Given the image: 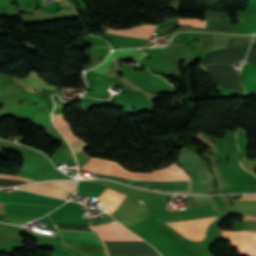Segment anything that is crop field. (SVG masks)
<instances>
[{"label":"crop field","instance_id":"crop-field-7","mask_svg":"<svg viewBox=\"0 0 256 256\" xmlns=\"http://www.w3.org/2000/svg\"><path fill=\"white\" fill-rule=\"evenodd\" d=\"M157 25H150V26H141L132 28L126 31L115 30V29H107L106 33L109 34H116V35H123V36H130V37H145L150 38L155 30Z\"/></svg>","mask_w":256,"mask_h":256},{"label":"crop field","instance_id":"crop-field-17","mask_svg":"<svg viewBox=\"0 0 256 256\" xmlns=\"http://www.w3.org/2000/svg\"><path fill=\"white\" fill-rule=\"evenodd\" d=\"M238 200H256V195H245Z\"/></svg>","mask_w":256,"mask_h":256},{"label":"crop field","instance_id":"crop-field-14","mask_svg":"<svg viewBox=\"0 0 256 256\" xmlns=\"http://www.w3.org/2000/svg\"><path fill=\"white\" fill-rule=\"evenodd\" d=\"M87 146H88V144L85 143V142L82 140L81 142H79V143H77V144H75V145H73V146H71V147H72L74 153L76 154V153L82 151V150H83L85 147H87Z\"/></svg>","mask_w":256,"mask_h":256},{"label":"crop field","instance_id":"crop-field-3","mask_svg":"<svg viewBox=\"0 0 256 256\" xmlns=\"http://www.w3.org/2000/svg\"><path fill=\"white\" fill-rule=\"evenodd\" d=\"M221 231L223 239L231 241V248H238L240 256H256V232L240 231L228 232Z\"/></svg>","mask_w":256,"mask_h":256},{"label":"crop field","instance_id":"crop-field-2","mask_svg":"<svg viewBox=\"0 0 256 256\" xmlns=\"http://www.w3.org/2000/svg\"><path fill=\"white\" fill-rule=\"evenodd\" d=\"M60 236L65 239L101 244L98 236L95 232H86V231H66L58 230ZM62 239L63 243H52V245L66 246L69 247L84 256H106V252L103 246L65 240Z\"/></svg>","mask_w":256,"mask_h":256},{"label":"crop field","instance_id":"crop-field-1","mask_svg":"<svg viewBox=\"0 0 256 256\" xmlns=\"http://www.w3.org/2000/svg\"><path fill=\"white\" fill-rule=\"evenodd\" d=\"M83 170L119 176L123 178H131L132 172H128L124 167L118 163L91 158L87 164L82 168ZM98 177H105L109 179L124 181L133 185H143L151 188L165 189V190H189V183H157L128 180L114 176L101 175ZM131 179L158 181V182H189V176L175 162L163 170L151 173H133Z\"/></svg>","mask_w":256,"mask_h":256},{"label":"crop field","instance_id":"crop-field-9","mask_svg":"<svg viewBox=\"0 0 256 256\" xmlns=\"http://www.w3.org/2000/svg\"><path fill=\"white\" fill-rule=\"evenodd\" d=\"M53 122L56 124L57 128L62 132V134L67 138L70 145L80 141L71 133L69 124L63 120V115H53Z\"/></svg>","mask_w":256,"mask_h":256},{"label":"crop field","instance_id":"crop-field-4","mask_svg":"<svg viewBox=\"0 0 256 256\" xmlns=\"http://www.w3.org/2000/svg\"><path fill=\"white\" fill-rule=\"evenodd\" d=\"M92 227L101 240H142L131 231L125 229L118 222L107 225L100 224Z\"/></svg>","mask_w":256,"mask_h":256},{"label":"crop field","instance_id":"crop-field-10","mask_svg":"<svg viewBox=\"0 0 256 256\" xmlns=\"http://www.w3.org/2000/svg\"><path fill=\"white\" fill-rule=\"evenodd\" d=\"M19 82L34 89L40 90L42 87L52 89L54 86L48 85L43 81L39 80L35 72H30L24 79H19Z\"/></svg>","mask_w":256,"mask_h":256},{"label":"crop field","instance_id":"crop-field-18","mask_svg":"<svg viewBox=\"0 0 256 256\" xmlns=\"http://www.w3.org/2000/svg\"><path fill=\"white\" fill-rule=\"evenodd\" d=\"M28 90H30V89H28ZM32 91V90H31ZM34 92V91H33Z\"/></svg>","mask_w":256,"mask_h":256},{"label":"crop field","instance_id":"crop-field-15","mask_svg":"<svg viewBox=\"0 0 256 256\" xmlns=\"http://www.w3.org/2000/svg\"><path fill=\"white\" fill-rule=\"evenodd\" d=\"M197 135H199V134H197ZM199 136H200V139L198 141H200L201 143H203L207 147L217 151L213 142H211L210 140H208L207 138H205V137H203L201 135H199Z\"/></svg>","mask_w":256,"mask_h":256},{"label":"crop field","instance_id":"crop-field-8","mask_svg":"<svg viewBox=\"0 0 256 256\" xmlns=\"http://www.w3.org/2000/svg\"><path fill=\"white\" fill-rule=\"evenodd\" d=\"M18 189H25V190L45 194V195L63 198V199H66L68 194L67 192L52 188L42 183L18 187Z\"/></svg>","mask_w":256,"mask_h":256},{"label":"crop field","instance_id":"crop-field-11","mask_svg":"<svg viewBox=\"0 0 256 256\" xmlns=\"http://www.w3.org/2000/svg\"><path fill=\"white\" fill-rule=\"evenodd\" d=\"M45 183L75 194V187H76L77 181L45 182Z\"/></svg>","mask_w":256,"mask_h":256},{"label":"crop field","instance_id":"crop-field-12","mask_svg":"<svg viewBox=\"0 0 256 256\" xmlns=\"http://www.w3.org/2000/svg\"><path fill=\"white\" fill-rule=\"evenodd\" d=\"M229 37L230 36L215 35L213 38L212 51L226 48Z\"/></svg>","mask_w":256,"mask_h":256},{"label":"crop field","instance_id":"crop-field-6","mask_svg":"<svg viewBox=\"0 0 256 256\" xmlns=\"http://www.w3.org/2000/svg\"><path fill=\"white\" fill-rule=\"evenodd\" d=\"M138 49H133V50H118V51H113L110 56L99 66L91 69V71L99 72L105 74L114 60L118 59H123V58H131V59H136L139 60L140 57L144 56V53H139Z\"/></svg>","mask_w":256,"mask_h":256},{"label":"crop field","instance_id":"crop-field-19","mask_svg":"<svg viewBox=\"0 0 256 256\" xmlns=\"http://www.w3.org/2000/svg\"><path fill=\"white\" fill-rule=\"evenodd\" d=\"M168 210V209H167Z\"/></svg>","mask_w":256,"mask_h":256},{"label":"crop field","instance_id":"crop-field-5","mask_svg":"<svg viewBox=\"0 0 256 256\" xmlns=\"http://www.w3.org/2000/svg\"><path fill=\"white\" fill-rule=\"evenodd\" d=\"M4 204L6 208V214L32 216V217H41L56 208V207L23 204V203H11V202H4Z\"/></svg>","mask_w":256,"mask_h":256},{"label":"crop field","instance_id":"crop-field-16","mask_svg":"<svg viewBox=\"0 0 256 256\" xmlns=\"http://www.w3.org/2000/svg\"><path fill=\"white\" fill-rule=\"evenodd\" d=\"M0 178H7V179H14V180H22V181L33 182V181L28 180V179H24V178H20V177H15V176H7V175H0Z\"/></svg>","mask_w":256,"mask_h":256},{"label":"crop field","instance_id":"crop-field-13","mask_svg":"<svg viewBox=\"0 0 256 256\" xmlns=\"http://www.w3.org/2000/svg\"><path fill=\"white\" fill-rule=\"evenodd\" d=\"M180 22L181 25L205 28V20L200 21L199 19H180Z\"/></svg>","mask_w":256,"mask_h":256}]
</instances>
